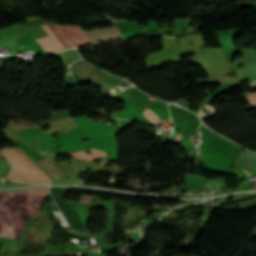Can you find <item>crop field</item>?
<instances>
[{
	"mask_svg": "<svg viewBox=\"0 0 256 256\" xmlns=\"http://www.w3.org/2000/svg\"><path fill=\"white\" fill-rule=\"evenodd\" d=\"M48 188L33 189L25 206H4L0 205V216H28L35 217L46 194ZM25 217H0V232L16 234ZM30 218H25L17 235L1 234L4 239L19 247L22 233Z\"/></svg>",
	"mask_w": 256,
	"mask_h": 256,
	"instance_id": "1",
	"label": "crop field"
},
{
	"mask_svg": "<svg viewBox=\"0 0 256 256\" xmlns=\"http://www.w3.org/2000/svg\"><path fill=\"white\" fill-rule=\"evenodd\" d=\"M146 116H147V118L150 120V121H152L153 123H155V122H157L156 120H157V118H156V116L153 114V112L152 111H150V110H144V112H143Z\"/></svg>",
	"mask_w": 256,
	"mask_h": 256,
	"instance_id": "6",
	"label": "crop field"
},
{
	"mask_svg": "<svg viewBox=\"0 0 256 256\" xmlns=\"http://www.w3.org/2000/svg\"><path fill=\"white\" fill-rule=\"evenodd\" d=\"M250 85H251L250 90L255 89L256 88V81L251 82ZM247 100L251 103V105L256 106V97L248 96Z\"/></svg>",
	"mask_w": 256,
	"mask_h": 256,
	"instance_id": "5",
	"label": "crop field"
},
{
	"mask_svg": "<svg viewBox=\"0 0 256 256\" xmlns=\"http://www.w3.org/2000/svg\"><path fill=\"white\" fill-rule=\"evenodd\" d=\"M86 151H91L93 154L92 155L86 154L85 153ZM70 154H72L74 157L91 160V161H94L95 159L103 157V156H107V153L97 151L93 148L87 149L85 151L71 152Z\"/></svg>",
	"mask_w": 256,
	"mask_h": 256,
	"instance_id": "4",
	"label": "crop field"
},
{
	"mask_svg": "<svg viewBox=\"0 0 256 256\" xmlns=\"http://www.w3.org/2000/svg\"><path fill=\"white\" fill-rule=\"evenodd\" d=\"M67 37L71 40L74 46H82L85 44L92 43L83 30L76 26L71 25H59ZM58 25H42L43 29L46 30L48 35L54 40L60 50L74 47L66 35L62 32ZM37 39L38 43L45 50L46 53L59 51V48L50 38Z\"/></svg>",
	"mask_w": 256,
	"mask_h": 256,
	"instance_id": "2",
	"label": "crop field"
},
{
	"mask_svg": "<svg viewBox=\"0 0 256 256\" xmlns=\"http://www.w3.org/2000/svg\"><path fill=\"white\" fill-rule=\"evenodd\" d=\"M243 172L246 173V174L249 175V176L251 175V174H249V173H248L247 171H245V170H243Z\"/></svg>",
	"mask_w": 256,
	"mask_h": 256,
	"instance_id": "7",
	"label": "crop field"
},
{
	"mask_svg": "<svg viewBox=\"0 0 256 256\" xmlns=\"http://www.w3.org/2000/svg\"><path fill=\"white\" fill-rule=\"evenodd\" d=\"M13 162L14 170L7 179L33 183H53L51 177L18 149L0 151Z\"/></svg>",
	"mask_w": 256,
	"mask_h": 256,
	"instance_id": "3",
	"label": "crop field"
}]
</instances>
